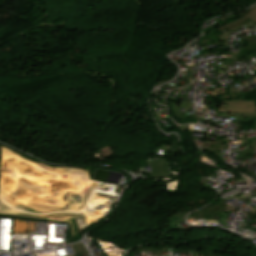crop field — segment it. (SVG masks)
<instances>
[{
	"label": "crop field",
	"mask_w": 256,
	"mask_h": 256,
	"mask_svg": "<svg viewBox=\"0 0 256 256\" xmlns=\"http://www.w3.org/2000/svg\"><path fill=\"white\" fill-rule=\"evenodd\" d=\"M219 112H243V113H256L254 101H243L228 99L223 100L218 110Z\"/></svg>",
	"instance_id": "8a807250"
},
{
	"label": "crop field",
	"mask_w": 256,
	"mask_h": 256,
	"mask_svg": "<svg viewBox=\"0 0 256 256\" xmlns=\"http://www.w3.org/2000/svg\"><path fill=\"white\" fill-rule=\"evenodd\" d=\"M224 206H226V204H225V201L222 200L221 203L213 205L207 209L197 211V212H195V214H197L198 216L203 215L205 213H207V215L215 214V213L224 211L222 208Z\"/></svg>",
	"instance_id": "ac0d7876"
},
{
	"label": "crop field",
	"mask_w": 256,
	"mask_h": 256,
	"mask_svg": "<svg viewBox=\"0 0 256 256\" xmlns=\"http://www.w3.org/2000/svg\"><path fill=\"white\" fill-rule=\"evenodd\" d=\"M247 17L252 19V20H254V21H256V6L251 11H249L245 16H243V17H241V18H239V19H237V20H235V21H233V22H231L229 24L224 25V27L221 28V29H224V28H227V27H229L231 25H234V24H236V23L246 19ZM221 29H219V30H221Z\"/></svg>",
	"instance_id": "34b2d1b8"
},
{
	"label": "crop field",
	"mask_w": 256,
	"mask_h": 256,
	"mask_svg": "<svg viewBox=\"0 0 256 256\" xmlns=\"http://www.w3.org/2000/svg\"><path fill=\"white\" fill-rule=\"evenodd\" d=\"M227 93L226 89H216L214 88V90L212 91V93L208 96V98H213L214 95H221L222 97V94H225ZM215 97V96H214ZM230 98L229 96L227 97H222V99H228Z\"/></svg>",
	"instance_id": "412701ff"
},
{
	"label": "crop field",
	"mask_w": 256,
	"mask_h": 256,
	"mask_svg": "<svg viewBox=\"0 0 256 256\" xmlns=\"http://www.w3.org/2000/svg\"><path fill=\"white\" fill-rule=\"evenodd\" d=\"M226 35H227V33L225 32V33L221 36V38L224 39Z\"/></svg>",
	"instance_id": "f4fd0767"
}]
</instances>
